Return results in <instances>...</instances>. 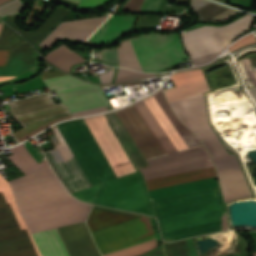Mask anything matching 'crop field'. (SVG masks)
I'll list each match as a JSON object with an SVG mask.
<instances>
[{
    "label": "crop field",
    "mask_w": 256,
    "mask_h": 256,
    "mask_svg": "<svg viewBox=\"0 0 256 256\" xmlns=\"http://www.w3.org/2000/svg\"><path fill=\"white\" fill-rule=\"evenodd\" d=\"M106 110H107V108L103 107V108L93 109V110H89V111L74 113L73 116L77 117V116H82V115H89V114H93V113H97V112H101V111H106Z\"/></svg>",
    "instance_id": "43"
},
{
    "label": "crop field",
    "mask_w": 256,
    "mask_h": 256,
    "mask_svg": "<svg viewBox=\"0 0 256 256\" xmlns=\"http://www.w3.org/2000/svg\"><path fill=\"white\" fill-rule=\"evenodd\" d=\"M9 150L13 154L9 156V158L25 174L34 171L38 168L48 166L46 160L38 164L23 144L18 145Z\"/></svg>",
    "instance_id": "28"
},
{
    "label": "crop field",
    "mask_w": 256,
    "mask_h": 256,
    "mask_svg": "<svg viewBox=\"0 0 256 256\" xmlns=\"http://www.w3.org/2000/svg\"><path fill=\"white\" fill-rule=\"evenodd\" d=\"M7 1H9V0H0V4L5 3Z\"/></svg>",
    "instance_id": "51"
},
{
    "label": "crop field",
    "mask_w": 256,
    "mask_h": 256,
    "mask_svg": "<svg viewBox=\"0 0 256 256\" xmlns=\"http://www.w3.org/2000/svg\"><path fill=\"white\" fill-rule=\"evenodd\" d=\"M91 234L101 255L155 238L150 218L146 216L105 227Z\"/></svg>",
    "instance_id": "11"
},
{
    "label": "crop field",
    "mask_w": 256,
    "mask_h": 256,
    "mask_svg": "<svg viewBox=\"0 0 256 256\" xmlns=\"http://www.w3.org/2000/svg\"><path fill=\"white\" fill-rule=\"evenodd\" d=\"M153 75H155V74L139 73V72L132 71V70H129V69L120 68L118 73H117L115 83L131 80V79H135V78L153 76Z\"/></svg>",
    "instance_id": "34"
},
{
    "label": "crop field",
    "mask_w": 256,
    "mask_h": 256,
    "mask_svg": "<svg viewBox=\"0 0 256 256\" xmlns=\"http://www.w3.org/2000/svg\"><path fill=\"white\" fill-rule=\"evenodd\" d=\"M31 235L42 256H68L55 229Z\"/></svg>",
    "instance_id": "23"
},
{
    "label": "crop field",
    "mask_w": 256,
    "mask_h": 256,
    "mask_svg": "<svg viewBox=\"0 0 256 256\" xmlns=\"http://www.w3.org/2000/svg\"><path fill=\"white\" fill-rule=\"evenodd\" d=\"M14 32H12L6 25L4 26V29L2 31L1 37H0V45L11 35H13Z\"/></svg>",
    "instance_id": "42"
},
{
    "label": "crop field",
    "mask_w": 256,
    "mask_h": 256,
    "mask_svg": "<svg viewBox=\"0 0 256 256\" xmlns=\"http://www.w3.org/2000/svg\"><path fill=\"white\" fill-rule=\"evenodd\" d=\"M57 126L91 185L116 178L83 119Z\"/></svg>",
    "instance_id": "4"
},
{
    "label": "crop field",
    "mask_w": 256,
    "mask_h": 256,
    "mask_svg": "<svg viewBox=\"0 0 256 256\" xmlns=\"http://www.w3.org/2000/svg\"><path fill=\"white\" fill-rule=\"evenodd\" d=\"M156 247H157V243H156V240L154 239V240L146 242L144 244L130 247V248L120 250V251H117V252H114L111 254H107L104 256H134V255H137L140 253H145V252L152 250Z\"/></svg>",
    "instance_id": "31"
},
{
    "label": "crop field",
    "mask_w": 256,
    "mask_h": 256,
    "mask_svg": "<svg viewBox=\"0 0 256 256\" xmlns=\"http://www.w3.org/2000/svg\"><path fill=\"white\" fill-rule=\"evenodd\" d=\"M61 75H65V74L58 70H55V71L44 73L42 75V79L57 77V76H61Z\"/></svg>",
    "instance_id": "45"
},
{
    "label": "crop field",
    "mask_w": 256,
    "mask_h": 256,
    "mask_svg": "<svg viewBox=\"0 0 256 256\" xmlns=\"http://www.w3.org/2000/svg\"><path fill=\"white\" fill-rule=\"evenodd\" d=\"M133 218H135V217H130V216H125V215H120V214H115V213L104 212V211L92 209L89 214V218L87 220V225H88L90 231L92 232V231L100 229L102 227L116 224L119 222H123L126 220H130Z\"/></svg>",
    "instance_id": "29"
},
{
    "label": "crop field",
    "mask_w": 256,
    "mask_h": 256,
    "mask_svg": "<svg viewBox=\"0 0 256 256\" xmlns=\"http://www.w3.org/2000/svg\"><path fill=\"white\" fill-rule=\"evenodd\" d=\"M15 202L7 181L0 175V204ZM36 246L15 203L0 205V253ZM0 256H41L37 247Z\"/></svg>",
    "instance_id": "6"
},
{
    "label": "crop field",
    "mask_w": 256,
    "mask_h": 256,
    "mask_svg": "<svg viewBox=\"0 0 256 256\" xmlns=\"http://www.w3.org/2000/svg\"><path fill=\"white\" fill-rule=\"evenodd\" d=\"M165 3H166V1L163 0L157 12H162V10H163V8L165 6Z\"/></svg>",
    "instance_id": "48"
},
{
    "label": "crop field",
    "mask_w": 256,
    "mask_h": 256,
    "mask_svg": "<svg viewBox=\"0 0 256 256\" xmlns=\"http://www.w3.org/2000/svg\"><path fill=\"white\" fill-rule=\"evenodd\" d=\"M183 124L189 128L207 124L204 96L198 95L169 103ZM209 150L216 166L221 189L247 184L235 155H228L209 124L191 128ZM224 199L234 195L251 193L248 185L222 191Z\"/></svg>",
    "instance_id": "2"
},
{
    "label": "crop field",
    "mask_w": 256,
    "mask_h": 256,
    "mask_svg": "<svg viewBox=\"0 0 256 256\" xmlns=\"http://www.w3.org/2000/svg\"><path fill=\"white\" fill-rule=\"evenodd\" d=\"M22 12V4L19 0H13L0 6V16L3 17L7 14L16 15Z\"/></svg>",
    "instance_id": "35"
},
{
    "label": "crop field",
    "mask_w": 256,
    "mask_h": 256,
    "mask_svg": "<svg viewBox=\"0 0 256 256\" xmlns=\"http://www.w3.org/2000/svg\"><path fill=\"white\" fill-rule=\"evenodd\" d=\"M144 101L178 152L202 146L196 136L178 120L167 105L162 89Z\"/></svg>",
    "instance_id": "13"
},
{
    "label": "crop field",
    "mask_w": 256,
    "mask_h": 256,
    "mask_svg": "<svg viewBox=\"0 0 256 256\" xmlns=\"http://www.w3.org/2000/svg\"><path fill=\"white\" fill-rule=\"evenodd\" d=\"M44 83L47 85L50 91H53L56 89L77 85V84H83L86 82L76 79L70 75H66L58 78L45 80Z\"/></svg>",
    "instance_id": "32"
},
{
    "label": "crop field",
    "mask_w": 256,
    "mask_h": 256,
    "mask_svg": "<svg viewBox=\"0 0 256 256\" xmlns=\"http://www.w3.org/2000/svg\"><path fill=\"white\" fill-rule=\"evenodd\" d=\"M250 43H256V38L253 34H249L245 37H243L242 39H240L239 41H237L235 44H233L232 46H230L228 48V50L231 52L241 46H244L246 44H250Z\"/></svg>",
    "instance_id": "38"
},
{
    "label": "crop field",
    "mask_w": 256,
    "mask_h": 256,
    "mask_svg": "<svg viewBox=\"0 0 256 256\" xmlns=\"http://www.w3.org/2000/svg\"><path fill=\"white\" fill-rule=\"evenodd\" d=\"M66 118H72V115L69 113L68 109L20 121L24 127L16 130L12 133V135L16 140L20 142L29 136L45 129L46 127Z\"/></svg>",
    "instance_id": "20"
},
{
    "label": "crop field",
    "mask_w": 256,
    "mask_h": 256,
    "mask_svg": "<svg viewBox=\"0 0 256 256\" xmlns=\"http://www.w3.org/2000/svg\"><path fill=\"white\" fill-rule=\"evenodd\" d=\"M219 1H222V2H225V3H227V2H228V0H219Z\"/></svg>",
    "instance_id": "52"
},
{
    "label": "crop field",
    "mask_w": 256,
    "mask_h": 256,
    "mask_svg": "<svg viewBox=\"0 0 256 256\" xmlns=\"http://www.w3.org/2000/svg\"><path fill=\"white\" fill-rule=\"evenodd\" d=\"M93 203L154 217L139 172L103 183Z\"/></svg>",
    "instance_id": "9"
},
{
    "label": "crop field",
    "mask_w": 256,
    "mask_h": 256,
    "mask_svg": "<svg viewBox=\"0 0 256 256\" xmlns=\"http://www.w3.org/2000/svg\"><path fill=\"white\" fill-rule=\"evenodd\" d=\"M2 27H3V23L0 24V31H1Z\"/></svg>",
    "instance_id": "53"
},
{
    "label": "crop field",
    "mask_w": 256,
    "mask_h": 256,
    "mask_svg": "<svg viewBox=\"0 0 256 256\" xmlns=\"http://www.w3.org/2000/svg\"><path fill=\"white\" fill-rule=\"evenodd\" d=\"M72 1H75V2H77V3H79V2H80V0H72Z\"/></svg>",
    "instance_id": "54"
},
{
    "label": "crop field",
    "mask_w": 256,
    "mask_h": 256,
    "mask_svg": "<svg viewBox=\"0 0 256 256\" xmlns=\"http://www.w3.org/2000/svg\"><path fill=\"white\" fill-rule=\"evenodd\" d=\"M131 40L144 72H157L187 59L177 34H147ZM131 40H125L114 48L118 64L142 71ZM114 50H101L102 60L117 64Z\"/></svg>",
    "instance_id": "3"
},
{
    "label": "crop field",
    "mask_w": 256,
    "mask_h": 256,
    "mask_svg": "<svg viewBox=\"0 0 256 256\" xmlns=\"http://www.w3.org/2000/svg\"><path fill=\"white\" fill-rule=\"evenodd\" d=\"M186 8L166 6L164 11L182 13Z\"/></svg>",
    "instance_id": "46"
},
{
    "label": "crop field",
    "mask_w": 256,
    "mask_h": 256,
    "mask_svg": "<svg viewBox=\"0 0 256 256\" xmlns=\"http://www.w3.org/2000/svg\"><path fill=\"white\" fill-rule=\"evenodd\" d=\"M249 91V93H250V95L252 96V98L255 100V102H256V88H254V89H250V90H248Z\"/></svg>",
    "instance_id": "47"
},
{
    "label": "crop field",
    "mask_w": 256,
    "mask_h": 256,
    "mask_svg": "<svg viewBox=\"0 0 256 256\" xmlns=\"http://www.w3.org/2000/svg\"><path fill=\"white\" fill-rule=\"evenodd\" d=\"M141 116L143 117L144 121L147 123V125L150 127L162 147L165 149V151L170 154L177 153V150L169 140L168 136L162 129V127L159 125V123L156 121V119L153 117L147 106L145 105L144 101L141 100L134 104Z\"/></svg>",
    "instance_id": "27"
},
{
    "label": "crop field",
    "mask_w": 256,
    "mask_h": 256,
    "mask_svg": "<svg viewBox=\"0 0 256 256\" xmlns=\"http://www.w3.org/2000/svg\"><path fill=\"white\" fill-rule=\"evenodd\" d=\"M69 256H100L84 223L57 229Z\"/></svg>",
    "instance_id": "18"
},
{
    "label": "crop field",
    "mask_w": 256,
    "mask_h": 256,
    "mask_svg": "<svg viewBox=\"0 0 256 256\" xmlns=\"http://www.w3.org/2000/svg\"><path fill=\"white\" fill-rule=\"evenodd\" d=\"M108 17L109 16L62 22L39 45L46 49L54 45L62 37L89 41ZM135 19L136 18L129 16H110L90 41L113 44L125 34L127 29L134 23Z\"/></svg>",
    "instance_id": "5"
},
{
    "label": "crop field",
    "mask_w": 256,
    "mask_h": 256,
    "mask_svg": "<svg viewBox=\"0 0 256 256\" xmlns=\"http://www.w3.org/2000/svg\"><path fill=\"white\" fill-rule=\"evenodd\" d=\"M95 140L103 150L111 168L117 175L123 176L136 171L122 150L104 115L84 119Z\"/></svg>",
    "instance_id": "14"
},
{
    "label": "crop field",
    "mask_w": 256,
    "mask_h": 256,
    "mask_svg": "<svg viewBox=\"0 0 256 256\" xmlns=\"http://www.w3.org/2000/svg\"><path fill=\"white\" fill-rule=\"evenodd\" d=\"M190 4L192 5L193 12L196 11L216 21H225L228 18L238 14L227 7L209 2L207 0H191ZM196 12L194 13L199 16V19L214 21Z\"/></svg>",
    "instance_id": "25"
},
{
    "label": "crop field",
    "mask_w": 256,
    "mask_h": 256,
    "mask_svg": "<svg viewBox=\"0 0 256 256\" xmlns=\"http://www.w3.org/2000/svg\"><path fill=\"white\" fill-rule=\"evenodd\" d=\"M114 69L113 70H108L107 72L103 74H99V79L101 83H110L111 79L113 77Z\"/></svg>",
    "instance_id": "41"
},
{
    "label": "crop field",
    "mask_w": 256,
    "mask_h": 256,
    "mask_svg": "<svg viewBox=\"0 0 256 256\" xmlns=\"http://www.w3.org/2000/svg\"><path fill=\"white\" fill-rule=\"evenodd\" d=\"M106 116L108 117L109 121L113 125L123 146L128 150L129 155L133 160L136 168L141 169V168L149 167V164L147 163V161L145 160L141 152L138 150V148L135 146V144L132 142V140L130 139V137L128 136L123 126L114 115V113L113 112L107 113Z\"/></svg>",
    "instance_id": "26"
},
{
    "label": "crop field",
    "mask_w": 256,
    "mask_h": 256,
    "mask_svg": "<svg viewBox=\"0 0 256 256\" xmlns=\"http://www.w3.org/2000/svg\"><path fill=\"white\" fill-rule=\"evenodd\" d=\"M254 256H256V253H254Z\"/></svg>",
    "instance_id": "55"
},
{
    "label": "crop field",
    "mask_w": 256,
    "mask_h": 256,
    "mask_svg": "<svg viewBox=\"0 0 256 256\" xmlns=\"http://www.w3.org/2000/svg\"><path fill=\"white\" fill-rule=\"evenodd\" d=\"M216 176L214 167L147 180L146 186L147 189H155L159 187H165V186H172V185H178L186 182L196 181L200 179L210 178Z\"/></svg>",
    "instance_id": "22"
},
{
    "label": "crop field",
    "mask_w": 256,
    "mask_h": 256,
    "mask_svg": "<svg viewBox=\"0 0 256 256\" xmlns=\"http://www.w3.org/2000/svg\"><path fill=\"white\" fill-rule=\"evenodd\" d=\"M89 205L75 199L20 211L30 233L83 222Z\"/></svg>",
    "instance_id": "10"
},
{
    "label": "crop field",
    "mask_w": 256,
    "mask_h": 256,
    "mask_svg": "<svg viewBox=\"0 0 256 256\" xmlns=\"http://www.w3.org/2000/svg\"><path fill=\"white\" fill-rule=\"evenodd\" d=\"M111 0H82L78 7L82 9L100 7ZM77 7V8H78Z\"/></svg>",
    "instance_id": "39"
},
{
    "label": "crop field",
    "mask_w": 256,
    "mask_h": 256,
    "mask_svg": "<svg viewBox=\"0 0 256 256\" xmlns=\"http://www.w3.org/2000/svg\"><path fill=\"white\" fill-rule=\"evenodd\" d=\"M160 16L146 15L139 16L137 27L154 28L159 24Z\"/></svg>",
    "instance_id": "37"
},
{
    "label": "crop field",
    "mask_w": 256,
    "mask_h": 256,
    "mask_svg": "<svg viewBox=\"0 0 256 256\" xmlns=\"http://www.w3.org/2000/svg\"><path fill=\"white\" fill-rule=\"evenodd\" d=\"M18 210L72 199L50 166L8 182Z\"/></svg>",
    "instance_id": "7"
},
{
    "label": "crop field",
    "mask_w": 256,
    "mask_h": 256,
    "mask_svg": "<svg viewBox=\"0 0 256 256\" xmlns=\"http://www.w3.org/2000/svg\"><path fill=\"white\" fill-rule=\"evenodd\" d=\"M34 66L31 46L25 41L11 51L6 66L0 67V76H18Z\"/></svg>",
    "instance_id": "21"
},
{
    "label": "crop field",
    "mask_w": 256,
    "mask_h": 256,
    "mask_svg": "<svg viewBox=\"0 0 256 256\" xmlns=\"http://www.w3.org/2000/svg\"><path fill=\"white\" fill-rule=\"evenodd\" d=\"M56 134L49 137L55 150L44 152L52 169L69 192L89 187L90 184L72 155L57 126L52 127Z\"/></svg>",
    "instance_id": "12"
},
{
    "label": "crop field",
    "mask_w": 256,
    "mask_h": 256,
    "mask_svg": "<svg viewBox=\"0 0 256 256\" xmlns=\"http://www.w3.org/2000/svg\"><path fill=\"white\" fill-rule=\"evenodd\" d=\"M114 113L146 160L167 155L133 104Z\"/></svg>",
    "instance_id": "15"
},
{
    "label": "crop field",
    "mask_w": 256,
    "mask_h": 256,
    "mask_svg": "<svg viewBox=\"0 0 256 256\" xmlns=\"http://www.w3.org/2000/svg\"><path fill=\"white\" fill-rule=\"evenodd\" d=\"M70 11L62 6H58L56 11L47 19L42 27L37 31L25 32L17 27L16 18L7 17L6 22L13 26L16 30L20 31L21 34L27 36L32 43L40 42Z\"/></svg>",
    "instance_id": "24"
},
{
    "label": "crop field",
    "mask_w": 256,
    "mask_h": 256,
    "mask_svg": "<svg viewBox=\"0 0 256 256\" xmlns=\"http://www.w3.org/2000/svg\"><path fill=\"white\" fill-rule=\"evenodd\" d=\"M253 17H250V25ZM249 28V18L244 16L226 26H204L189 32L181 33L184 46L191 60L220 51L229 45L231 40ZM248 30V29H247ZM243 31V32H241ZM246 31V30H245ZM241 32V33H239ZM239 33V34H237ZM237 34V35H236ZM236 35V36H234ZM234 36V37H232ZM232 37V38H230ZM230 38V39H228ZM228 39V40H226ZM226 40V41H224ZM225 45H224V43ZM222 51V50H221ZM220 51V52H221ZM220 52L193 60L195 65L213 60Z\"/></svg>",
    "instance_id": "8"
},
{
    "label": "crop field",
    "mask_w": 256,
    "mask_h": 256,
    "mask_svg": "<svg viewBox=\"0 0 256 256\" xmlns=\"http://www.w3.org/2000/svg\"><path fill=\"white\" fill-rule=\"evenodd\" d=\"M9 104L17 121L67 108L62 103L55 105L49 93L10 102Z\"/></svg>",
    "instance_id": "19"
},
{
    "label": "crop field",
    "mask_w": 256,
    "mask_h": 256,
    "mask_svg": "<svg viewBox=\"0 0 256 256\" xmlns=\"http://www.w3.org/2000/svg\"><path fill=\"white\" fill-rule=\"evenodd\" d=\"M161 0H129L124 10H153L156 11Z\"/></svg>",
    "instance_id": "33"
},
{
    "label": "crop field",
    "mask_w": 256,
    "mask_h": 256,
    "mask_svg": "<svg viewBox=\"0 0 256 256\" xmlns=\"http://www.w3.org/2000/svg\"><path fill=\"white\" fill-rule=\"evenodd\" d=\"M11 78H14V77H0V81L8 80V79H11Z\"/></svg>",
    "instance_id": "49"
},
{
    "label": "crop field",
    "mask_w": 256,
    "mask_h": 256,
    "mask_svg": "<svg viewBox=\"0 0 256 256\" xmlns=\"http://www.w3.org/2000/svg\"><path fill=\"white\" fill-rule=\"evenodd\" d=\"M23 41L25 40H23L21 37L15 34L11 36L10 39L0 47V50L12 49L15 46L19 45L20 43H22Z\"/></svg>",
    "instance_id": "40"
},
{
    "label": "crop field",
    "mask_w": 256,
    "mask_h": 256,
    "mask_svg": "<svg viewBox=\"0 0 256 256\" xmlns=\"http://www.w3.org/2000/svg\"><path fill=\"white\" fill-rule=\"evenodd\" d=\"M99 186L100 185H96V186L72 193V195L81 201L91 203Z\"/></svg>",
    "instance_id": "36"
},
{
    "label": "crop field",
    "mask_w": 256,
    "mask_h": 256,
    "mask_svg": "<svg viewBox=\"0 0 256 256\" xmlns=\"http://www.w3.org/2000/svg\"><path fill=\"white\" fill-rule=\"evenodd\" d=\"M66 46V45H65ZM64 45H61L57 49L49 52L45 57L48 61H50L52 64L56 65L57 67L70 71V67L76 63L84 62L81 57L76 55L74 52L69 50Z\"/></svg>",
    "instance_id": "30"
},
{
    "label": "crop field",
    "mask_w": 256,
    "mask_h": 256,
    "mask_svg": "<svg viewBox=\"0 0 256 256\" xmlns=\"http://www.w3.org/2000/svg\"><path fill=\"white\" fill-rule=\"evenodd\" d=\"M170 80L176 87L164 90L169 102L210 90L201 69L172 75Z\"/></svg>",
    "instance_id": "17"
},
{
    "label": "crop field",
    "mask_w": 256,
    "mask_h": 256,
    "mask_svg": "<svg viewBox=\"0 0 256 256\" xmlns=\"http://www.w3.org/2000/svg\"><path fill=\"white\" fill-rule=\"evenodd\" d=\"M11 50L0 51V66H4L7 63Z\"/></svg>",
    "instance_id": "44"
},
{
    "label": "crop field",
    "mask_w": 256,
    "mask_h": 256,
    "mask_svg": "<svg viewBox=\"0 0 256 256\" xmlns=\"http://www.w3.org/2000/svg\"><path fill=\"white\" fill-rule=\"evenodd\" d=\"M61 102L71 113L95 107L108 106L99 85L83 84L55 91Z\"/></svg>",
    "instance_id": "16"
},
{
    "label": "crop field",
    "mask_w": 256,
    "mask_h": 256,
    "mask_svg": "<svg viewBox=\"0 0 256 256\" xmlns=\"http://www.w3.org/2000/svg\"><path fill=\"white\" fill-rule=\"evenodd\" d=\"M174 1H176L178 3H188V0H174Z\"/></svg>",
    "instance_id": "50"
},
{
    "label": "crop field",
    "mask_w": 256,
    "mask_h": 256,
    "mask_svg": "<svg viewBox=\"0 0 256 256\" xmlns=\"http://www.w3.org/2000/svg\"><path fill=\"white\" fill-rule=\"evenodd\" d=\"M151 201L167 242L220 231L226 213L218 187Z\"/></svg>",
    "instance_id": "1"
}]
</instances>
